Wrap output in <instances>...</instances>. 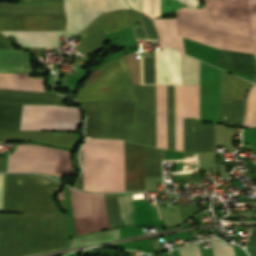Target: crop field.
Masks as SVG:
<instances>
[{"instance_id": "8a807250", "label": "crop field", "mask_w": 256, "mask_h": 256, "mask_svg": "<svg viewBox=\"0 0 256 256\" xmlns=\"http://www.w3.org/2000/svg\"><path fill=\"white\" fill-rule=\"evenodd\" d=\"M202 9L177 11L178 34L210 46L253 53L247 0H205Z\"/></svg>"}, {"instance_id": "ac0d7876", "label": "crop field", "mask_w": 256, "mask_h": 256, "mask_svg": "<svg viewBox=\"0 0 256 256\" xmlns=\"http://www.w3.org/2000/svg\"><path fill=\"white\" fill-rule=\"evenodd\" d=\"M84 190L124 191L122 140H85Z\"/></svg>"}, {"instance_id": "34b2d1b8", "label": "crop field", "mask_w": 256, "mask_h": 256, "mask_svg": "<svg viewBox=\"0 0 256 256\" xmlns=\"http://www.w3.org/2000/svg\"><path fill=\"white\" fill-rule=\"evenodd\" d=\"M5 175L3 211L60 213L52 197L61 183L38 175Z\"/></svg>"}, {"instance_id": "412701ff", "label": "crop field", "mask_w": 256, "mask_h": 256, "mask_svg": "<svg viewBox=\"0 0 256 256\" xmlns=\"http://www.w3.org/2000/svg\"><path fill=\"white\" fill-rule=\"evenodd\" d=\"M134 99L132 81L123 57L93 70L78 92V100Z\"/></svg>"}, {"instance_id": "f4fd0767", "label": "crop field", "mask_w": 256, "mask_h": 256, "mask_svg": "<svg viewBox=\"0 0 256 256\" xmlns=\"http://www.w3.org/2000/svg\"><path fill=\"white\" fill-rule=\"evenodd\" d=\"M134 101L90 102L87 137L130 141Z\"/></svg>"}, {"instance_id": "dd49c442", "label": "crop field", "mask_w": 256, "mask_h": 256, "mask_svg": "<svg viewBox=\"0 0 256 256\" xmlns=\"http://www.w3.org/2000/svg\"><path fill=\"white\" fill-rule=\"evenodd\" d=\"M44 147L18 145L16 151L9 155V171L53 173L59 177L72 172L69 151Z\"/></svg>"}, {"instance_id": "e52e79f7", "label": "crop field", "mask_w": 256, "mask_h": 256, "mask_svg": "<svg viewBox=\"0 0 256 256\" xmlns=\"http://www.w3.org/2000/svg\"><path fill=\"white\" fill-rule=\"evenodd\" d=\"M52 250V214L15 215V256Z\"/></svg>"}, {"instance_id": "d8731c3e", "label": "crop field", "mask_w": 256, "mask_h": 256, "mask_svg": "<svg viewBox=\"0 0 256 256\" xmlns=\"http://www.w3.org/2000/svg\"><path fill=\"white\" fill-rule=\"evenodd\" d=\"M28 73H0V88L44 92V78H30ZM58 95L0 89V102L57 105Z\"/></svg>"}, {"instance_id": "5a996713", "label": "crop field", "mask_w": 256, "mask_h": 256, "mask_svg": "<svg viewBox=\"0 0 256 256\" xmlns=\"http://www.w3.org/2000/svg\"><path fill=\"white\" fill-rule=\"evenodd\" d=\"M76 107L23 105L20 130H55L75 128ZM80 112L77 109L76 131Z\"/></svg>"}, {"instance_id": "3316defc", "label": "crop field", "mask_w": 256, "mask_h": 256, "mask_svg": "<svg viewBox=\"0 0 256 256\" xmlns=\"http://www.w3.org/2000/svg\"><path fill=\"white\" fill-rule=\"evenodd\" d=\"M135 106L131 142L156 147L155 85H133Z\"/></svg>"}, {"instance_id": "28ad6ade", "label": "crop field", "mask_w": 256, "mask_h": 256, "mask_svg": "<svg viewBox=\"0 0 256 256\" xmlns=\"http://www.w3.org/2000/svg\"><path fill=\"white\" fill-rule=\"evenodd\" d=\"M140 13L117 10L95 18L79 35L83 38L76 46L83 54L104 48L106 34L138 22Z\"/></svg>"}, {"instance_id": "d1516ede", "label": "crop field", "mask_w": 256, "mask_h": 256, "mask_svg": "<svg viewBox=\"0 0 256 256\" xmlns=\"http://www.w3.org/2000/svg\"><path fill=\"white\" fill-rule=\"evenodd\" d=\"M159 84L200 85V62L165 46L158 50Z\"/></svg>"}, {"instance_id": "22f410ed", "label": "crop field", "mask_w": 256, "mask_h": 256, "mask_svg": "<svg viewBox=\"0 0 256 256\" xmlns=\"http://www.w3.org/2000/svg\"><path fill=\"white\" fill-rule=\"evenodd\" d=\"M71 198L77 235L108 228L103 194L71 189Z\"/></svg>"}, {"instance_id": "cbeb9de0", "label": "crop field", "mask_w": 256, "mask_h": 256, "mask_svg": "<svg viewBox=\"0 0 256 256\" xmlns=\"http://www.w3.org/2000/svg\"><path fill=\"white\" fill-rule=\"evenodd\" d=\"M68 17L66 34L72 37L98 14L117 8H129L124 0H64Z\"/></svg>"}, {"instance_id": "5142ce71", "label": "crop field", "mask_w": 256, "mask_h": 256, "mask_svg": "<svg viewBox=\"0 0 256 256\" xmlns=\"http://www.w3.org/2000/svg\"><path fill=\"white\" fill-rule=\"evenodd\" d=\"M200 86H175V149L182 150L183 118H199Z\"/></svg>"}, {"instance_id": "d9b57169", "label": "crop field", "mask_w": 256, "mask_h": 256, "mask_svg": "<svg viewBox=\"0 0 256 256\" xmlns=\"http://www.w3.org/2000/svg\"><path fill=\"white\" fill-rule=\"evenodd\" d=\"M65 16L0 15V30H64Z\"/></svg>"}, {"instance_id": "733c2abd", "label": "crop field", "mask_w": 256, "mask_h": 256, "mask_svg": "<svg viewBox=\"0 0 256 256\" xmlns=\"http://www.w3.org/2000/svg\"><path fill=\"white\" fill-rule=\"evenodd\" d=\"M125 144V191L145 190L144 146Z\"/></svg>"}, {"instance_id": "4a817a6b", "label": "crop field", "mask_w": 256, "mask_h": 256, "mask_svg": "<svg viewBox=\"0 0 256 256\" xmlns=\"http://www.w3.org/2000/svg\"><path fill=\"white\" fill-rule=\"evenodd\" d=\"M214 125H203L184 120V150L189 152H213Z\"/></svg>"}, {"instance_id": "bc2a9ffb", "label": "crop field", "mask_w": 256, "mask_h": 256, "mask_svg": "<svg viewBox=\"0 0 256 256\" xmlns=\"http://www.w3.org/2000/svg\"><path fill=\"white\" fill-rule=\"evenodd\" d=\"M0 138L6 140H33L69 148L77 141L75 133L43 131L0 130Z\"/></svg>"}, {"instance_id": "214f88e0", "label": "crop field", "mask_w": 256, "mask_h": 256, "mask_svg": "<svg viewBox=\"0 0 256 256\" xmlns=\"http://www.w3.org/2000/svg\"><path fill=\"white\" fill-rule=\"evenodd\" d=\"M216 63L253 79L256 78L254 55L220 50Z\"/></svg>"}, {"instance_id": "92a150f3", "label": "crop field", "mask_w": 256, "mask_h": 256, "mask_svg": "<svg viewBox=\"0 0 256 256\" xmlns=\"http://www.w3.org/2000/svg\"><path fill=\"white\" fill-rule=\"evenodd\" d=\"M1 32L8 36H14L20 44L29 46V47L57 48L58 35H65L64 31H1Z\"/></svg>"}, {"instance_id": "dafd665d", "label": "crop field", "mask_w": 256, "mask_h": 256, "mask_svg": "<svg viewBox=\"0 0 256 256\" xmlns=\"http://www.w3.org/2000/svg\"><path fill=\"white\" fill-rule=\"evenodd\" d=\"M157 147L167 149L166 86L156 85Z\"/></svg>"}, {"instance_id": "00972430", "label": "crop field", "mask_w": 256, "mask_h": 256, "mask_svg": "<svg viewBox=\"0 0 256 256\" xmlns=\"http://www.w3.org/2000/svg\"><path fill=\"white\" fill-rule=\"evenodd\" d=\"M162 43L184 53L182 37L177 35L175 19H154Z\"/></svg>"}, {"instance_id": "a9b5d70f", "label": "crop field", "mask_w": 256, "mask_h": 256, "mask_svg": "<svg viewBox=\"0 0 256 256\" xmlns=\"http://www.w3.org/2000/svg\"><path fill=\"white\" fill-rule=\"evenodd\" d=\"M244 101L220 100V122L241 126Z\"/></svg>"}, {"instance_id": "4177f3b9", "label": "crop field", "mask_w": 256, "mask_h": 256, "mask_svg": "<svg viewBox=\"0 0 256 256\" xmlns=\"http://www.w3.org/2000/svg\"><path fill=\"white\" fill-rule=\"evenodd\" d=\"M22 105L0 103V128L19 130Z\"/></svg>"}, {"instance_id": "730fd06b", "label": "crop field", "mask_w": 256, "mask_h": 256, "mask_svg": "<svg viewBox=\"0 0 256 256\" xmlns=\"http://www.w3.org/2000/svg\"><path fill=\"white\" fill-rule=\"evenodd\" d=\"M28 70L27 54L14 51H0V71Z\"/></svg>"}, {"instance_id": "eef30255", "label": "crop field", "mask_w": 256, "mask_h": 256, "mask_svg": "<svg viewBox=\"0 0 256 256\" xmlns=\"http://www.w3.org/2000/svg\"><path fill=\"white\" fill-rule=\"evenodd\" d=\"M146 177H162L161 149L145 146Z\"/></svg>"}, {"instance_id": "ae1a2a85", "label": "crop field", "mask_w": 256, "mask_h": 256, "mask_svg": "<svg viewBox=\"0 0 256 256\" xmlns=\"http://www.w3.org/2000/svg\"><path fill=\"white\" fill-rule=\"evenodd\" d=\"M116 195L120 206L122 224L136 225L131 193Z\"/></svg>"}, {"instance_id": "d3111659", "label": "crop field", "mask_w": 256, "mask_h": 256, "mask_svg": "<svg viewBox=\"0 0 256 256\" xmlns=\"http://www.w3.org/2000/svg\"><path fill=\"white\" fill-rule=\"evenodd\" d=\"M118 238H120L119 229L98 232V233H93V234L73 238L70 247L86 244V243L98 242V241L114 240Z\"/></svg>"}, {"instance_id": "750c4746", "label": "crop field", "mask_w": 256, "mask_h": 256, "mask_svg": "<svg viewBox=\"0 0 256 256\" xmlns=\"http://www.w3.org/2000/svg\"><path fill=\"white\" fill-rule=\"evenodd\" d=\"M66 234L62 214H53V250L66 248Z\"/></svg>"}, {"instance_id": "bd1437ed", "label": "crop field", "mask_w": 256, "mask_h": 256, "mask_svg": "<svg viewBox=\"0 0 256 256\" xmlns=\"http://www.w3.org/2000/svg\"><path fill=\"white\" fill-rule=\"evenodd\" d=\"M168 149L174 150V86H167Z\"/></svg>"}, {"instance_id": "1d83c4d3", "label": "crop field", "mask_w": 256, "mask_h": 256, "mask_svg": "<svg viewBox=\"0 0 256 256\" xmlns=\"http://www.w3.org/2000/svg\"><path fill=\"white\" fill-rule=\"evenodd\" d=\"M256 126V87L253 85L247 102V111L244 127Z\"/></svg>"}, {"instance_id": "120bbe31", "label": "crop field", "mask_w": 256, "mask_h": 256, "mask_svg": "<svg viewBox=\"0 0 256 256\" xmlns=\"http://www.w3.org/2000/svg\"><path fill=\"white\" fill-rule=\"evenodd\" d=\"M215 256H234L233 246L226 245L219 239L211 240Z\"/></svg>"}, {"instance_id": "d32e631a", "label": "crop field", "mask_w": 256, "mask_h": 256, "mask_svg": "<svg viewBox=\"0 0 256 256\" xmlns=\"http://www.w3.org/2000/svg\"><path fill=\"white\" fill-rule=\"evenodd\" d=\"M254 52L256 56V0H248Z\"/></svg>"}, {"instance_id": "5866460e", "label": "crop field", "mask_w": 256, "mask_h": 256, "mask_svg": "<svg viewBox=\"0 0 256 256\" xmlns=\"http://www.w3.org/2000/svg\"><path fill=\"white\" fill-rule=\"evenodd\" d=\"M200 208L198 203L186 205V206H179V213L181 215L182 220L184 221L188 216H190L194 211Z\"/></svg>"}, {"instance_id": "028f5c9d", "label": "crop field", "mask_w": 256, "mask_h": 256, "mask_svg": "<svg viewBox=\"0 0 256 256\" xmlns=\"http://www.w3.org/2000/svg\"><path fill=\"white\" fill-rule=\"evenodd\" d=\"M178 251L181 256H201L198 245L188 246Z\"/></svg>"}, {"instance_id": "e1f06a70", "label": "crop field", "mask_w": 256, "mask_h": 256, "mask_svg": "<svg viewBox=\"0 0 256 256\" xmlns=\"http://www.w3.org/2000/svg\"><path fill=\"white\" fill-rule=\"evenodd\" d=\"M246 247H256V227L254 228L253 232L251 233Z\"/></svg>"}, {"instance_id": "0bd39190", "label": "crop field", "mask_w": 256, "mask_h": 256, "mask_svg": "<svg viewBox=\"0 0 256 256\" xmlns=\"http://www.w3.org/2000/svg\"><path fill=\"white\" fill-rule=\"evenodd\" d=\"M128 4L135 10L141 12V3L142 0H126Z\"/></svg>"}, {"instance_id": "b80d0937", "label": "crop field", "mask_w": 256, "mask_h": 256, "mask_svg": "<svg viewBox=\"0 0 256 256\" xmlns=\"http://www.w3.org/2000/svg\"><path fill=\"white\" fill-rule=\"evenodd\" d=\"M38 2H63V0H19L20 4L38 3Z\"/></svg>"}, {"instance_id": "c035e120", "label": "crop field", "mask_w": 256, "mask_h": 256, "mask_svg": "<svg viewBox=\"0 0 256 256\" xmlns=\"http://www.w3.org/2000/svg\"><path fill=\"white\" fill-rule=\"evenodd\" d=\"M0 49H12L8 43V39L0 34Z\"/></svg>"}, {"instance_id": "c21b1889", "label": "crop field", "mask_w": 256, "mask_h": 256, "mask_svg": "<svg viewBox=\"0 0 256 256\" xmlns=\"http://www.w3.org/2000/svg\"><path fill=\"white\" fill-rule=\"evenodd\" d=\"M185 4L187 7H193L196 8L197 4L199 3L200 0H178Z\"/></svg>"}, {"instance_id": "03da06ac", "label": "crop field", "mask_w": 256, "mask_h": 256, "mask_svg": "<svg viewBox=\"0 0 256 256\" xmlns=\"http://www.w3.org/2000/svg\"><path fill=\"white\" fill-rule=\"evenodd\" d=\"M3 176L4 175H0V211H2Z\"/></svg>"}, {"instance_id": "b54c1fbb", "label": "crop field", "mask_w": 256, "mask_h": 256, "mask_svg": "<svg viewBox=\"0 0 256 256\" xmlns=\"http://www.w3.org/2000/svg\"><path fill=\"white\" fill-rule=\"evenodd\" d=\"M0 171H5V157H0Z\"/></svg>"}, {"instance_id": "5d738f31", "label": "crop field", "mask_w": 256, "mask_h": 256, "mask_svg": "<svg viewBox=\"0 0 256 256\" xmlns=\"http://www.w3.org/2000/svg\"><path fill=\"white\" fill-rule=\"evenodd\" d=\"M251 256H256V248H247Z\"/></svg>"}]
</instances>
